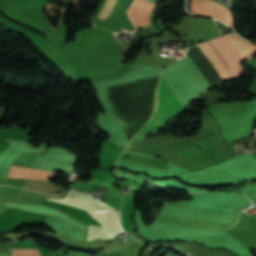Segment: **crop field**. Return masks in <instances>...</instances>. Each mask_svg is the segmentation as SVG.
Returning a JSON list of instances; mask_svg holds the SVG:
<instances>
[{
    "instance_id": "3",
    "label": "crop field",
    "mask_w": 256,
    "mask_h": 256,
    "mask_svg": "<svg viewBox=\"0 0 256 256\" xmlns=\"http://www.w3.org/2000/svg\"><path fill=\"white\" fill-rule=\"evenodd\" d=\"M57 176L55 173L42 171L32 168H22V167H10V172L8 177L16 178H32V179H48Z\"/></svg>"
},
{
    "instance_id": "2",
    "label": "crop field",
    "mask_w": 256,
    "mask_h": 256,
    "mask_svg": "<svg viewBox=\"0 0 256 256\" xmlns=\"http://www.w3.org/2000/svg\"><path fill=\"white\" fill-rule=\"evenodd\" d=\"M208 1H211V0H208ZM208 1L191 0L190 10L195 13L210 15V16L219 18L225 21L227 24H229L232 27V19H231L230 11L220 6L217 3H210Z\"/></svg>"
},
{
    "instance_id": "1",
    "label": "crop field",
    "mask_w": 256,
    "mask_h": 256,
    "mask_svg": "<svg viewBox=\"0 0 256 256\" xmlns=\"http://www.w3.org/2000/svg\"><path fill=\"white\" fill-rule=\"evenodd\" d=\"M198 47L223 81L243 75L245 70L241 63L249 61L256 55V45L240 39L234 32L221 34L217 39L198 45ZM157 90V105L153 118L127 146L145 138V135L151 132L157 133L167 121L184 111L162 80Z\"/></svg>"
},
{
    "instance_id": "7",
    "label": "crop field",
    "mask_w": 256,
    "mask_h": 256,
    "mask_svg": "<svg viewBox=\"0 0 256 256\" xmlns=\"http://www.w3.org/2000/svg\"><path fill=\"white\" fill-rule=\"evenodd\" d=\"M99 212H104V211H99Z\"/></svg>"
},
{
    "instance_id": "6",
    "label": "crop field",
    "mask_w": 256,
    "mask_h": 256,
    "mask_svg": "<svg viewBox=\"0 0 256 256\" xmlns=\"http://www.w3.org/2000/svg\"><path fill=\"white\" fill-rule=\"evenodd\" d=\"M14 256H40L36 249H12Z\"/></svg>"
},
{
    "instance_id": "5",
    "label": "crop field",
    "mask_w": 256,
    "mask_h": 256,
    "mask_svg": "<svg viewBox=\"0 0 256 256\" xmlns=\"http://www.w3.org/2000/svg\"><path fill=\"white\" fill-rule=\"evenodd\" d=\"M118 1L119 0H117V4H118ZM115 4H116V0H106L105 5H104L102 11L98 15V18L107 21V19L110 17V15H111V13L113 11V8H114ZM117 4H116V6H117ZM115 9H116V7H115ZM115 9H114V11H115ZM109 19H108V21H109Z\"/></svg>"
},
{
    "instance_id": "4",
    "label": "crop field",
    "mask_w": 256,
    "mask_h": 256,
    "mask_svg": "<svg viewBox=\"0 0 256 256\" xmlns=\"http://www.w3.org/2000/svg\"><path fill=\"white\" fill-rule=\"evenodd\" d=\"M156 220H160V221L167 222V223H172V224L203 227V228H211V229H219V230H225V229L232 226V225H228V224L200 222V221H193V220L166 217V216H161V215H158Z\"/></svg>"
}]
</instances>
